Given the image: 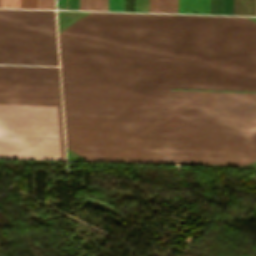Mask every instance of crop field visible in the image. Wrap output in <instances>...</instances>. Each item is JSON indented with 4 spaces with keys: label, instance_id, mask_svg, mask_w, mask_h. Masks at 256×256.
I'll use <instances>...</instances> for the list:
<instances>
[{
    "label": "crop field",
    "instance_id": "crop-field-4",
    "mask_svg": "<svg viewBox=\"0 0 256 256\" xmlns=\"http://www.w3.org/2000/svg\"><path fill=\"white\" fill-rule=\"evenodd\" d=\"M58 9H79V0H57ZM80 9L107 10V0H80Z\"/></svg>",
    "mask_w": 256,
    "mask_h": 256
},
{
    "label": "crop field",
    "instance_id": "crop-field-8",
    "mask_svg": "<svg viewBox=\"0 0 256 256\" xmlns=\"http://www.w3.org/2000/svg\"><path fill=\"white\" fill-rule=\"evenodd\" d=\"M108 10L125 11V0H108Z\"/></svg>",
    "mask_w": 256,
    "mask_h": 256
},
{
    "label": "crop field",
    "instance_id": "crop-field-6",
    "mask_svg": "<svg viewBox=\"0 0 256 256\" xmlns=\"http://www.w3.org/2000/svg\"><path fill=\"white\" fill-rule=\"evenodd\" d=\"M159 3H171V0H159ZM156 12L174 13L175 0H172V4H158V0H156ZM176 13H177V0H176Z\"/></svg>",
    "mask_w": 256,
    "mask_h": 256
},
{
    "label": "crop field",
    "instance_id": "crop-field-1",
    "mask_svg": "<svg viewBox=\"0 0 256 256\" xmlns=\"http://www.w3.org/2000/svg\"><path fill=\"white\" fill-rule=\"evenodd\" d=\"M67 146L87 161L256 160V24L92 12L59 33Z\"/></svg>",
    "mask_w": 256,
    "mask_h": 256
},
{
    "label": "crop field",
    "instance_id": "crop-field-12",
    "mask_svg": "<svg viewBox=\"0 0 256 256\" xmlns=\"http://www.w3.org/2000/svg\"><path fill=\"white\" fill-rule=\"evenodd\" d=\"M21 8H36V0H21Z\"/></svg>",
    "mask_w": 256,
    "mask_h": 256
},
{
    "label": "crop field",
    "instance_id": "crop-field-9",
    "mask_svg": "<svg viewBox=\"0 0 256 256\" xmlns=\"http://www.w3.org/2000/svg\"><path fill=\"white\" fill-rule=\"evenodd\" d=\"M198 13L209 14V0H198Z\"/></svg>",
    "mask_w": 256,
    "mask_h": 256
},
{
    "label": "crop field",
    "instance_id": "crop-field-3",
    "mask_svg": "<svg viewBox=\"0 0 256 256\" xmlns=\"http://www.w3.org/2000/svg\"><path fill=\"white\" fill-rule=\"evenodd\" d=\"M0 63L58 65L54 11L0 9Z\"/></svg>",
    "mask_w": 256,
    "mask_h": 256
},
{
    "label": "crop field",
    "instance_id": "crop-field-11",
    "mask_svg": "<svg viewBox=\"0 0 256 256\" xmlns=\"http://www.w3.org/2000/svg\"><path fill=\"white\" fill-rule=\"evenodd\" d=\"M0 5H3V7L20 8V0H1Z\"/></svg>",
    "mask_w": 256,
    "mask_h": 256
},
{
    "label": "crop field",
    "instance_id": "crop-field-5",
    "mask_svg": "<svg viewBox=\"0 0 256 256\" xmlns=\"http://www.w3.org/2000/svg\"><path fill=\"white\" fill-rule=\"evenodd\" d=\"M178 13H197V0H178Z\"/></svg>",
    "mask_w": 256,
    "mask_h": 256
},
{
    "label": "crop field",
    "instance_id": "crop-field-7",
    "mask_svg": "<svg viewBox=\"0 0 256 256\" xmlns=\"http://www.w3.org/2000/svg\"><path fill=\"white\" fill-rule=\"evenodd\" d=\"M135 11L148 12V0H135ZM149 12H155V0H149Z\"/></svg>",
    "mask_w": 256,
    "mask_h": 256
},
{
    "label": "crop field",
    "instance_id": "crop-field-10",
    "mask_svg": "<svg viewBox=\"0 0 256 256\" xmlns=\"http://www.w3.org/2000/svg\"><path fill=\"white\" fill-rule=\"evenodd\" d=\"M38 8L54 9V0H37Z\"/></svg>",
    "mask_w": 256,
    "mask_h": 256
},
{
    "label": "crop field",
    "instance_id": "crop-field-2",
    "mask_svg": "<svg viewBox=\"0 0 256 256\" xmlns=\"http://www.w3.org/2000/svg\"><path fill=\"white\" fill-rule=\"evenodd\" d=\"M0 158L65 160L58 67L0 65Z\"/></svg>",
    "mask_w": 256,
    "mask_h": 256
}]
</instances>
